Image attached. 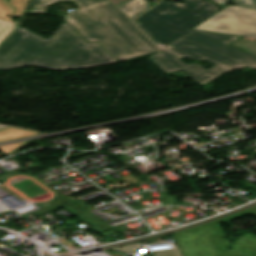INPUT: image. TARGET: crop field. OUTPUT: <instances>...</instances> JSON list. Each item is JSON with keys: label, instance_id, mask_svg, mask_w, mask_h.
<instances>
[{"label": "crop field", "instance_id": "obj_1", "mask_svg": "<svg viewBox=\"0 0 256 256\" xmlns=\"http://www.w3.org/2000/svg\"><path fill=\"white\" fill-rule=\"evenodd\" d=\"M164 1L134 22L163 50L150 59L165 74L182 70L201 87L242 67L256 69V57L226 44L239 37L191 30L221 10L210 0ZM195 62L186 65L180 58ZM214 65L205 69L197 61Z\"/></svg>", "mask_w": 256, "mask_h": 256}, {"label": "crop field", "instance_id": "obj_2", "mask_svg": "<svg viewBox=\"0 0 256 256\" xmlns=\"http://www.w3.org/2000/svg\"><path fill=\"white\" fill-rule=\"evenodd\" d=\"M117 63L98 43L85 41L64 21L48 39L19 26L0 47V70L26 65L49 70Z\"/></svg>", "mask_w": 256, "mask_h": 256}, {"label": "crop field", "instance_id": "obj_3", "mask_svg": "<svg viewBox=\"0 0 256 256\" xmlns=\"http://www.w3.org/2000/svg\"><path fill=\"white\" fill-rule=\"evenodd\" d=\"M67 0H33L28 12ZM81 8L63 17L88 43L100 42L119 62L158 49L110 0H74Z\"/></svg>", "mask_w": 256, "mask_h": 256}, {"label": "crop field", "instance_id": "obj_4", "mask_svg": "<svg viewBox=\"0 0 256 256\" xmlns=\"http://www.w3.org/2000/svg\"><path fill=\"white\" fill-rule=\"evenodd\" d=\"M173 236L183 256H244L230 246L216 221L177 233Z\"/></svg>", "mask_w": 256, "mask_h": 256}, {"label": "crop field", "instance_id": "obj_5", "mask_svg": "<svg viewBox=\"0 0 256 256\" xmlns=\"http://www.w3.org/2000/svg\"><path fill=\"white\" fill-rule=\"evenodd\" d=\"M194 29L256 39V10L229 6Z\"/></svg>", "mask_w": 256, "mask_h": 256}, {"label": "crop field", "instance_id": "obj_6", "mask_svg": "<svg viewBox=\"0 0 256 256\" xmlns=\"http://www.w3.org/2000/svg\"><path fill=\"white\" fill-rule=\"evenodd\" d=\"M248 211L256 216V207L248 209ZM231 249H239L245 256H256V237L247 233L235 241Z\"/></svg>", "mask_w": 256, "mask_h": 256}, {"label": "crop field", "instance_id": "obj_7", "mask_svg": "<svg viewBox=\"0 0 256 256\" xmlns=\"http://www.w3.org/2000/svg\"><path fill=\"white\" fill-rule=\"evenodd\" d=\"M131 20L150 8L147 0H129L119 7Z\"/></svg>", "mask_w": 256, "mask_h": 256}, {"label": "crop field", "instance_id": "obj_8", "mask_svg": "<svg viewBox=\"0 0 256 256\" xmlns=\"http://www.w3.org/2000/svg\"><path fill=\"white\" fill-rule=\"evenodd\" d=\"M31 135H39V132L19 129L15 127H5L0 129V142Z\"/></svg>", "mask_w": 256, "mask_h": 256}, {"label": "crop field", "instance_id": "obj_9", "mask_svg": "<svg viewBox=\"0 0 256 256\" xmlns=\"http://www.w3.org/2000/svg\"><path fill=\"white\" fill-rule=\"evenodd\" d=\"M17 25L0 20V42L16 27Z\"/></svg>", "mask_w": 256, "mask_h": 256}, {"label": "crop field", "instance_id": "obj_10", "mask_svg": "<svg viewBox=\"0 0 256 256\" xmlns=\"http://www.w3.org/2000/svg\"><path fill=\"white\" fill-rule=\"evenodd\" d=\"M12 10L13 8L10 7L5 0H0V18L11 21ZM7 15H9L10 18H8Z\"/></svg>", "mask_w": 256, "mask_h": 256}, {"label": "crop field", "instance_id": "obj_11", "mask_svg": "<svg viewBox=\"0 0 256 256\" xmlns=\"http://www.w3.org/2000/svg\"><path fill=\"white\" fill-rule=\"evenodd\" d=\"M29 0H10V4L15 7L14 15L22 16Z\"/></svg>", "mask_w": 256, "mask_h": 256}, {"label": "crop field", "instance_id": "obj_12", "mask_svg": "<svg viewBox=\"0 0 256 256\" xmlns=\"http://www.w3.org/2000/svg\"><path fill=\"white\" fill-rule=\"evenodd\" d=\"M232 3L237 6L256 9V0H234Z\"/></svg>", "mask_w": 256, "mask_h": 256}, {"label": "crop field", "instance_id": "obj_13", "mask_svg": "<svg viewBox=\"0 0 256 256\" xmlns=\"http://www.w3.org/2000/svg\"><path fill=\"white\" fill-rule=\"evenodd\" d=\"M142 246H144V244H131V245H127V246H124L122 248H114L116 250H119L121 252H124V253H134L136 252L137 250H139Z\"/></svg>", "mask_w": 256, "mask_h": 256}, {"label": "crop field", "instance_id": "obj_14", "mask_svg": "<svg viewBox=\"0 0 256 256\" xmlns=\"http://www.w3.org/2000/svg\"><path fill=\"white\" fill-rule=\"evenodd\" d=\"M153 256H182L179 248L176 249H172V250H168V251H164L163 253H154Z\"/></svg>", "mask_w": 256, "mask_h": 256}, {"label": "crop field", "instance_id": "obj_15", "mask_svg": "<svg viewBox=\"0 0 256 256\" xmlns=\"http://www.w3.org/2000/svg\"><path fill=\"white\" fill-rule=\"evenodd\" d=\"M24 143H20V144H14V145H8V146H3L0 147V150L2 152H4L6 155L12 153L16 148L22 146Z\"/></svg>", "mask_w": 256, "mask_h": 256}, {"label": "crop field", "instance_id": "obj_16", "mask_svg": "<svg viewBox=\"0 0 256 256\" xmlns=\"http://www.w3.org/2000/svg\"><path fill=\"white\" fill-rule=\"evenodd\" d=\"M212 1L215 2L220 7H224L226 6L227 2L231 0H212Z\"/></svg>", "mask_w": 256, "mask_h": 256}]
</instances>
